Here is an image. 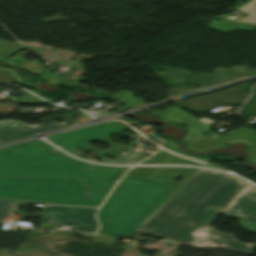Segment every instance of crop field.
I'll return each instance as SVG.
<instances>
[{
  "label": "crop field",
  "instance_id": "crop-field-1",
  "mask_svg": "<svg viewBox=\"0 0 256 256\" xmlns=\"http://www.w3.org/2000/svg\"><path fill=\"white\" fill-rule=\"evenodd\" d=\"M246 182L222 173L200 169L151 218L135 231L191 245L197 228L205 229ZM207 240L250 255L247 244L233 234L205 229Z\"/></svg>",
  "mask_w": 256,
  "mask_h": 256
},
{
  "label": "crop field",
  "instance_id": "crop-field-2",
  "mask_svg": "<svg viewBox=\"0 0 256 256\" xmlns=\"http://www.w3.org/2000/svg\"><path fill=\"white\" fill-rule=\"evenodd\" d=\"M0 151V175L85 179L93 206H100L129 167H107L74 160L51 146L29 141ZM94 165V171L86 167Z\"/></svg>",
  "mask_w": 256,
  "mask_h": 256
},
{
  "label": "crop field",
  "instance_id": "crop-field-3",
  "mask_svg": "<svg viewBox=\"0 0 256 256\" xmlns=\"http://www.w3.org/2000/svg\"><path fill=\"white\" fill-rule=\"evenodd\" d=\"M170 195L157 181L125 176L97 213L98 233L128 237Z\"/></svg>",
  "mask_w": 256,
  "mask_h": 256
},
{
  "label": "crop field",
  "instance_id": "crop-field-4",
  "mask_svg": "<svg viewBox=\"0 0 256 256\" xmlns=\"http://www.w3.org/2000/svg\"><path fill=\"white\" fill-rule=\"evenodd\" d=\"M0 198L51 201V204L92 206L84 180L1 177Z\"/></svg>",
  "mask_w": 256,
  "mask_h": 256
},
{
  "label": "crop field",
  "instance_id": "crop-field-5",
  "mask_svg": "<svg viewBox=\"0 0 256 256\" xmlns=\"http://www.w3.org/2000/svg\"><path fill=\"white\" fill-rule=\"evenodd\" d=\"M124 127L126 126L116 122H110L65 134L58 133L49 136L48 139L51 140L60 148L72 153L75 156L77 155L75 154L74 150L81 147L83 149L93 151L98 155L115 156V159L110 160L108 163L135 164L141 159L145 158L131 153L130 146L137 145L135 142H130L131 144L129 146H120L114 145L107 138V136L121 130ZM96 140L107 142L112 145V148L106 151H98L91 145H89L91 141Z\"/></svg>",
  "mask_w": 256,
  "mask_h": 256
},
{
  "label": "crop field",
  "instance_id": "crop-field-6",
  "mask_svg": "<svg viewBox=\"0 0 256 256\" xmlns=\"http://www.w3.org/2000/svg\"><path fill=\"white\" fill-rule=\"evenodd\" d=\"M223 213L226 218H240L238 224L256 235V187L248 184Z\"/></svg>",
  "mask_w": 256,
  "mask_h": 256
},
{
  "label": "crop field",
  "instance_id": "crop-field-7",
  "mask_svg": "<svg viewBox=\"0 0 256 256\" xmlns=\"http://www.w3.org/2000/svg\"><path fill=\"white\" fill-rule=\"evenodd\" d=\"M42 219L54 220L58 223L77 224V231L95 232L97 224L94 218L96 209L68 208L49 206L42 209Z\"/></svg>",
  "mask_w": 256,
  "mask_h": 256
},
{
  "label": "crop field",
  "instance_id": "crop-field-8",
  "mask_svg": "<svg viewBox=\"0 0 256 256\" xmlns=\"http://www.w3.org/2000/svg\"><path fill=\"white\" fill-rule=\"evenodd\" d=\"M60 118L68 125L75 123L73 120L69 119L66 115H60L55 117H49L40 119L41 124L37 128H33L21 121L15 120H4L0 122V143L8 142L11 140L19 139L28 135L43 132L53 128H57L64 125H59L53 123L50 119Z\"/></svg>",
  "mask_w": 256,
  "mask_h": 256
},
{
  "label": "crop field",
  "instance_id": "crop-field-9",
  "mask_svg": "<svg viewBox=\"0 0 256 256\" xmlns=\"http://www.w3.org/2000/svg\"><path fill=\"white\" fill-rule=\"evenodd\" d=\"M244 140L251 146V157L256 162V131L249 128L240 127L239 129L229 133L224 138L212 139V140H198L187 143V146L193 150H207L209 148L221 146L223 142Z\"/></svg>",
  "mask_w": 256,
  "mask_h": 256
},
{
  "label": "crop field",
  "instance_id": "crop-field-10",
  "mask_svg": "<svg viewBox=\"0 0 256 256\" xmlns=\"http://www.w3.org/2000/svg\"><path fill=\"white\" fill-rule=\"evenodd\" d=\"M152 113L160 116L161 120L173 119L187 125L190 128L192 133L188 137H186V139H190V140L199 139L202 137V134L205 131L209 130L210 128L204 123L196 120L197 118L195 119L191 117L190 115L186 114L176 106L172 108L152 112Z\"/></svg>",
  "mask_w": 256,
  "mask_h": 256
},
{
  "label": "crop field",
  "instance_id": "crop-field-11",
  "mask_svg": "<svg viewBox=\"0 0 256 256\" xmlns=\"http://www.w3.org/2000/svg\"><path fill=\"white\" fill-rule=\"evenodd\" d=\"M198 170L197 168H163L152 179L161 182L173 194ZM178 176L184 178L180 182L174 181L173 179Z\"/></svg>",
  "mask_w": 256,
  "mask_h": 256
},
{
  "label": "crop field",
  "instance_id": "crop-field-12",
  "mask_svg": "<svg viewBox=\"0 0 256 256\" xmlns=\"http://www.w3.org/2000/svg\"><path fill=\"white\" fill-rule=\"evenodd\" d=\"M211 27L215 28L217 30L223 31V32H227V31H232L235 29L253 30L256 27V25L213 20Z\"/></svg>",
  "mask_w": 256,
  "mask_h": 256
},
{
  "label": "crop field",
  "instance_id": "crop-field-13",
  "mask_svg": "<svg viewBox=\"0 0 256 256\" xmlns=\"http://www.w3.org/2000/svg\"><path fill=\"white\" fill-rule=\"evenodd\" d=\"M97 93L113 94V95H116V96L120 97L121 101L124 102L126 108L144 104V101L133 97L132 96L133 93L128 92V91H121V92H116V93H109V92H105V91H97Z\"/></svg>",
  "mask_w": 256,
  "mask_h": 256
},
{
  "label": "crop field",
  "instance_id": "crop-field-14",
  "mask_svg": "<svg viewBox=\"0 0 256 256\" xmlns=\"http://www.w3.org/2000/svg\"><path fill=\"white\" fill-rule=\"evenodd\" d=\"M236 10L246 13L247 16L242 21L256 22V0H252Z\"/></svg>",
  "mask_w": 256,
  "mask_h": 256
},
{
  "label": "crop field",
  "instance_id": "crop-field-15",
  "mask_svg": "<svg viewBox=\"0 0 256 256\" xmlns=\"http://www.w3.org/2000/svg\"><path fill=\"white\" fill-rule=\"evenodd\" d=\"M160 168H141L133 167L129 172L128 176L145 179L150 178Z\"/></svg>",
  "mask_w": 256,
  "mask_h": 256
},
{
  "label": "crop field",
  "instance_id": "crop-field-16",
  "mask_svg": "<svg viewBox=\"0 0 256 256\" xmlns=\"http://www.w3.org/2000/svg\"><path fill=\"white\" fill-rule=\"evenodd\" d=\"M27 203L28 202H24V201L0 199V219H2L4 216H8L11 205L17 207L19 205H23Z\"/></svg>",
  "mask_w": 256,
  "mask_h": 256
},
{
  "label": "crop field",
  "instance_id": "crop-field-17",
  "mask_svg": "<svg viewBox=\"0 0 256 256\" xmlns=\"http://www.w3.org/2000/svg\"><path fill=\"white\" fill-rule=\"evenodd\" d=\"M15 72L4 67H0V81L7 83H20L19 77L15 76Z\"/></svg>",
  "mask_w": 256,
  "mask_h": 256
},
{
  "label": "crop field",
  "instance_id": "crop-field-18",
  "mask_svg": "<svg viewBox=\"0 0 256 256\" xmlns=\"http://www.w3.org/2000/svg\"><path fill=\"white\" fill-rule=\"evenodd\" d=\"M195 236L198 237V240L193 243L191 246H218V247H227V246H219V245H213V244H210L209 241H206V238H207V234L205 233L204 230L202 229H198L197 232L194 234ZM228 248V247H227Z\"/></svg>",
  "mask_w": 256,
  "mask_h": 256
},
{
  "label": "crop field",
  "instance_id": "crop-field-19",
  "mask_svg": "<svg viewBox=\"0 0 256 256\" xmlns=\"http://www.w3.org/2000/svg\"><path fill=\"white\" fill-rule=\"evenodd\" d=\"M172 156H174V155H171V154H169V153L164 152V151L161 150L160 153L157 152V153H155L153 156H151V157H152V160H151V161L145 160V161H143V162L140 163V164H147V163H164V160H165V159H168V158H170V157H172Z\"/></svg>",
  "mask_w": 256,
  "mask_h": 256
},
{
  "label": "crop field",
  "instance_id": "crop-field-20",
  "mask_svg": "<svg viewBox=\"0 0 256 256\" xmlns=\"http://www.w3.org/2000/svg\"><path fill=\"white\" fill-rule=\"evenodd\" d=\"M166 163H174V164H188V165H198V166H203V164L185 159V158H181V157H177V158H173L168 160Z\"/></svg>",
  "mask_w": 256,
  "mask_h": 256
},
{
  "label": "crop field",
  "instance_id": "crop-field-21",
  "mask_svg": "<svg viewBox=\"0 0 256 256\" xmlns=\"http://www.w3.org/2000/svg\"><path fill=\"white\" fill-rule=\"evenodd\" d=\"M164 147H166V148H168V149H170V150H172V151H175V152H177V153H180V151H178V150L175 148L174 143H173V142H170V141H168V140L165 141Z\"/></svg>",
  "mask_w": 256,
  "mask_h": 256
},
{
  "label": "crop field",
  "instance_id": "crop-field-22",
  "mask_svg": "<svg viewBox=\"0 0 256 256\" xmlns=\"http://www.w3.org/2000/svg\"><path fill=\"white\" fill-rule=\"evenodd\" d=\"M181 155H184V154H181ZM185 156H188V155H185ZM188 157H191V156H188ZM191 158H194V157H191ZM194 159L202 160V161H208L211 158H194Z\"/></svg>",
  "mask_w": 256,
  "mask_h": 256
},
{
  "label": "crop field",
  "instance_id": "crop-field-23",
  "mask_svg": "<svg viewBox=\"0 0 256 256\" xmlns=\"http://www.w3.org/2000/svg\"><path fill=\"white\" fill-rule=\"evenodd\" d=\"M123 120L126 121V122H128L129 124H134V123H136V122H131L129 119H127V118H125V117H123Z\"/></svg>",
  "mask_w": 256,
  "mask_h": 256
},
{
  "label": "crop field",
  "instance_id": "crop-field-24",
  "mask_svg": "<svg viewBox=\"0 0 256 256\" xmlns=\"http://www.w3.org/2000/svg\"><path fill=\"white\" fill-rule=\"evenodd\" d=\"M249 246V250H251V248L253 247V244L252 245H248Z\"/></svg>",
  "mask_w": 256,
  "mask_h": 256
}]
</instances>
